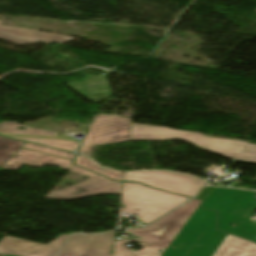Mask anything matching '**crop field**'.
I'll return each instance as SVG.
<instances>
[{
	"label": "crop field",
	"mask_w": 256,
	"mask_h": 256,
	"mask_svg": "<svg viewBox=\"0 0 256 256\" xmlns=\"http://www.w3.org/2000/svg\"><path fill=\"white\" fill-rule=\"evenodd\" d=\"M218 211V230L256 241V228L250 218L256 211L253 192L214 188L200 206ZM235 223V228L230 224Z\"/></svg>",
	"instance_id": "crop-field-1"
},
{
	"label": "crop field",
	"mask_w": 256,
	"mask_h": 256,
	"mask_svg": "<svg viewBox=\"0 0 256 256\" xmlns=\"http://www.w3.org/2000/svg\"><path fill=\"white\" fill-rule=\"evenodd\" d=\"M190 141L211 152L239 161L256 163V145L243 141L206 137L194 132L175 131L161 127L132 124L130 140Z\"/></svg>",
	"instance_id": "crop-field-2"
},
{
	"label": "crop field",
	"mask_w": 256,
	"mask_h": 256,
	"mask_svg": "<svg viewBox=\"0 0 256 256\" xmlns=\"http://www.w3.org/2000/svg\"><path fill=\"white\" fill-rule=\"evenodd\" d=\"M215 221L216 212L198 208L162 256H212L227 236L215 231Z\"/></svg>",
	"instance_id": "crop-field-3"
},
{
	"label": "crop field",
	"mask_w": 256,
	"mask_h": 256,
	"mask_svg": "<svg viewBox=\"0 0 256 256\" xmlns=\"http://www.w3.org/2000/svg\"><path fill=\"white\" fill-rule=\"evenodd\" d=\"M189 198L150 189L145 185L124 182L122 203L123 212L137 215L143 223L148 224ZM139 209L138 211H134Z\"/></svg>",
	"instance_id": "crop-field-4"
},
{
	"label": "crop field",
	"mask_w": 256,
	"mask_h": 256,
	"mask_svg": "<svg viewBox=\"0 0 256 256\" xmlns=\"http://www.w3.org/2000/svg\"><path fill=\"white\" fill-rule=\"evenodd\" d=\"M131 121L130 118L96 114L79 153L91 157L94 146L129 141Z\"/></svg>",
	"instance_id": "crop-field-5"
},
{
	"label": "crop field",
	"mask_w": 256,
	"mask_h": 256,
	"mask_svg": "<svg viewBox=\"0 0 256 256\" xmlns=\"http://www.w3.org/2000/svg\"><path fill=\"white\" fill-rule=\"evenodd\" d=\"M201 203L194 199L151 226L130 232L166 250Z\"/></svg>",
	"instance_id": "crop-field-6"
},
{
	"label": "crop field",
	"mask_w": 256,
	"mask_h": 256,
	"mask_svg": "<svg viewBox=\"0 0 256 256\" xmlns=\"http://www.w3.org/2000/svg\"><path fill=\"white\" fill-rule=\"evenodd\" d=\"M69 172L88 176L89 179L66 189L50 192L45 199L74 200L98 195H121L123 183L111 181L74 164Z\"/></svg>",
	"instance_id": "crop-field-7"
},
{
	"label": "crop field",
	"mask_w": 256,
	"mask_h": 256,
	"mask_svg": "<svg viewBox=\"0 0 256 256\" xmlns=\"http://www.w3.org/2000/svg\"><path fill=\"white\" fill-rule=\"evenodd\" d=\"M124 181L141 182L151 187L194 197L200 188L207 185L203 180L172 172L125 173Z\"/></svg>",
	"instance_id": "crop-field-8"
},
{
	"label": "crop field",
	"mask_w": 256,
	"mask_h": 256,
	"mask_svg": "<svg viewBox=\"0 0 256 256\" xmlns=\"http://www.w3.org/2000/svg\"><path fill=\"white\" fill-rule=\"evenodd\" d=\"M114 232L103 235H74L58 256H112Z\"/></svg>",
	"instance_id": "crop-field-9"
},
{
	"label": "crop field",
	"mask_w": 256,
	"mask_h": 256,
	"mask_svg": "<svg viewBox=\"0 0 256 256\" xmlns=\"http://www.w3.org/2000/svg\"><path fill=\"white\" fill-rule=\"evenodd\" d=\"M67 235H62L48 245H40L25 240L5 236L0 241V252L3 255L51 256L61 247Z\"/></svg>",
	"instance_id": "crop-field-10"
},
{
	"label": "crop field",
	"mask_w": 256,
	"mask_h": 256,
	"mask_svg": "<svg viewBox=\"0 0 256 256\" xmlns=\"http://www.w3.org/2000/svg\"><path fill=\"white\" fill-rule=\"evenodd\" d=\"M0 38L12 42L16 45H24L36 41L52 43V42H66L71 41L72 38L37 32L35 30L15 28V27H0Z\"/></svg>",
	"instance_id": "crop-field-11"
},
{
	"label": "crop field",
	"mask_w": 256,
	"mask_h": 256,
	"mask_svg": "<svg viewBox=\"0 0 256 256\" xmlns=\"http://www.w3.org/2000/svg\"><path fill=\"white\" fill-rule=\"evenodd\" d=\"M72 161L20 149L2 168L16 171L23 164L41 168L43 165H57L69 169Z\"/></svg>",
	"instance_id": "crop-field-12"
},
{
	"label": "crop field",
	"mask_w": 256,
	"mask_h": 256,
	"mask_svg": "<svg viewBox=\"0 0 256 256\" xmlns=\"http://www.w3.org/2000/svg\"><path fill=\"white\" fill-rule=\"evenodd\" d=\"M16 127H24L17 123H10V122H1L0 125V133L4 134H20V135H36V136H52V137H59L58 133L37 130L26 127V130H17ZM23 140L32 141L38 144H42L45 146L73 152L78 142L72 141H60V140H47V139H28V138H18Z\"/></svg>",
	"instance_id": "crop-field-13"
},
{
	"label": "crop field",
	"mask_w": 256,
	"mask_h": 256,
	"mask_svg": "<svg viewBox=\"0 0 256 256\" xmlns=\"http://www.w3.org/2000/svg\"><path fill=\"white\" fill-rule=\"evenodd\" d=\"M213 256H256V244L228 235Z\"/></svg>",
	"instance_id": "crop-field-14"
},
{
	"label": "crop field",
	"mask_w": 256,
	"mask_h": 256,
	"mask_svg": "<svg viewBox=\"0 0 256 256\" xmlns=\"http://www.w3.org/2000/svg\"><path fill=\"white\" fill-rule=\"evenodd\" d=\"M139 240L140 239L115 242L114 256H161L165 251L143 239L141 241L142 245H140L141 247H143L141 251H131L123 248L124 242ZM159 250L163 251L161 255L158 254Z\"/></svg>",
	"instance_id": "crop-field-15"
},
{
	"label": "crop field",
	"mask_w": 256,
	"mask_h": 256,
	"mask_svg": "<svg viewBox=\"0 0 256 256\" xmlns=\"http://www.w3.org/2000/svg\"><path fill=\"white\" fill-rule=\"evenodd\" d=\"M74 163L79 166H82L84 168H87L91 171H94L96 173H99L103 176H106L112 180L123 181L124 173H120V172L113 171L110 169H106L105 171H103V170H101L102 167L97 166L96 164H94L92 161H90L89 159H87L85 157L78 155V157Z\"/></svg>",
	"instance_id": "crop-field-16"
},
{
	"label": "crop field",
	"mask_w": 256,
	"mask_h": 256,
	"mask_svg": "<svg viewBox=\"0 0 256 256\" xmlns=\"http://www.w3.org/2000/svg\"><path fill=\"white\" fill-rule=\"evenodd\" d=\"M24 142L0 136V168L20 149Z\"/></svg>",
	"instance_id": "crop-field-17"
},
{
	"label": "crop field",
	"mask_w": 256,
	"mask_h": 256,
	"mask_svg": "<svg viewBox=\"0 0 256 256\" xmlns=\"http://www.w3.org/2000/svg\"><path fill=\"white\" fill-rule=\"evenodd\" d=\"M22 147L40 151V152H44V153L55 155V156H59V157L70 159V160L74 159V157H75V155L68 153V152L50 149V148H46V147H41V146H37V145H32V144H28V143H25Z\"/></svg>",
	"instance_id": "crop-field-18"
},
{
	"label": "crop field",
	"mask_w": 256,
	"mask_h": 256,
	"mask_svg": "<svg viewBox=\"0 0 256 256\" xmlns=\"http://www.w3.org/2000/svg\"><path fill=\"white\" fill-rule=\"evenodd\" d=\"M213 187H207L202 190L201 194L197 197L198 199L205 200L209 193L212 191Z\"/></svg>",
	"instance_id": "crop-field-19"
},
{
	"label": "crop field",
	"mask_w": 256,
	"mask_h": 256,
	"mask_svg": "<svg viewBox=\"0 0 256 256\" xmlns=\"http://www.w3.org/2000/svg\"><path fill=\"white\" fill-rule=\"evenodd\" d=\"M2 22H0V26H1Z\"/></svg>",
	"instance_id": "crop-field-20"
}]
</instances>
